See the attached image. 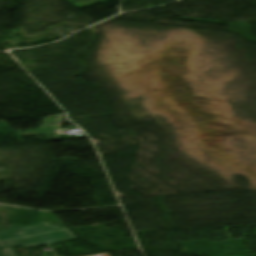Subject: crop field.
I'll return each instance as SVG.
<instances>
[{"label": "crop field", "mask_w": 256, "mask_h": 256, "mask_svg": "<svg viewBox=\"0 0 256 256\" xmlns=\"http://www.w3.org/2000/svg\"><path fill=\"white\" fill-rule=\"evenodd\" d=\"M75 239L65 227H52L46 222L0 231V249L3 256H15L11 246L24 248L52 242Z\"/></svg>", "instance_id": "1"}]
</instances>
